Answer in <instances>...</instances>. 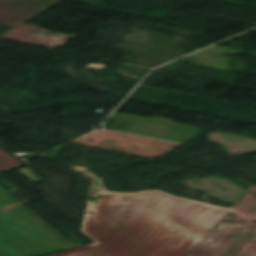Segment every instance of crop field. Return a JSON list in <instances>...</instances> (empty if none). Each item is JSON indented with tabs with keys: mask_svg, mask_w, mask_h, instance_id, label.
<instances>
[{
	"mask_svg": "<svg viewBox=\"0 0 256 256\" xmlns=\"http://www.w3.org/2000/svg\"><path fill=\"white\" fill-rule=\"evenodd\" d=\"M226 212L159 193L120 195L86 232L99 244L53 256H185Z\"/></svg>",
	"mask_w": 256,
	"mask_h": 256,
	"instance_id": "obj_1",
	"label": "crop field"
},
{
	"mask_svg": "<svg viewBox=\"0 0 256 256\" xmlns=\"http://www.w3.org/2000/svg\"><path fill=\"white\" fill-rule=\"evenodd\" d=\"M0 191L11 199L0 192V256H11L68 241L1 186Z\"/></svg>",
	"mask_w": 256,
	"mask_h": 256,
	"instance_id": "obj_2",
	"label": "crop field"
},
{
	"mask_svg": "<svg viewBox=\"0 0 256 256\" xmlns=\"http://www.w3.org/2000/svg\"><path fill=\"white\" fill-rule=\"evenodd\" d=\"M70 247H74V245L71 244L70 242H67V243H63V244H59V245H55V246L27 252V253L15 255V256H39V255L47 254L50 252H54V251H58V250H62V249L70 248Z\"/></svg>",
	"mask_w": 256,
	"mask_h": 256,
	"instance_id": "obj_3",
	"label": "crop field"
},
{
	"mask_svg": "<svg viewBox=\"0 0 256 256\" xmlns=\"http://www.w3.org/2000/svg\"><path fill=\"white\" fill-rule=\"evenodd\" d=\"M22 166L19 162L5 153L3 150L0 149V171H6L12 168H16Z\"/></svg>",
	"mask_w": 256,
	"mask_h": 256,
	"instance_id": "obj_4",
	"label": "crop field"
}]
</instances>
